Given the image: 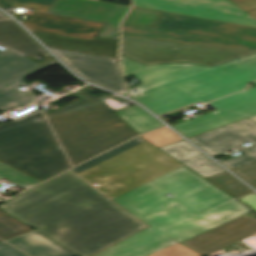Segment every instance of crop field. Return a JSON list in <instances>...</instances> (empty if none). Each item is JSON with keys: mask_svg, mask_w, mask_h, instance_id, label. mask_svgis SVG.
I'll return each mask as SVG.
<instances>
[{"mask_svg": "<svg viewBox=\"0 0 256 256\" xmlns=\"http://www.w3.org/2000/svg\"><path fill=\"white\" fill-rule=\"evenodd\" d=\"M0 256H26L8 244L0 243Z\"/></svg>", "mask_w": 256, "mask_h": 256, "instance_id": "d32e631a", "label": "crop field"}, {"mask_svg": "<svg viewBox=\"0 0 256 256\" xmlns=\"http://www.w3.org/2000/svg\"><path fill=\"white\" fill-rule=\"evenodd\" d=\"M240 151L244 152L245 154L237 158L221 161L220 163H222L226 168L231 170V169L256 161V144L249 146L247 148H244Z\"/></svg>", "mask_w": 256, "mask_h": 256, "instance_id": "ae1a2a85", "label": "crop field"}, {"mask_svg": "<svg viewBox=\"0 0 256 256\" xmlns=\"http://www.w3.org/2000/svg\"><path fill=\"white\" fill-rule=\"evenodd\" d=\"M207 180L235 197L251 192L226 172L207 178Z\"/></svg>", "mask_w": 256, "mask_h": 256, "instance_id": "92a150f3", "label": "crop field"}, {"mask_svg": "<svg viewBox=\"0 0 256 256\" xmlns=\"http://www.w3.org/2000/svg\"><path fill=\"white\" fill-rule=\"evenodd\" d=\"M223 204V203H222ZM162 215L166 216V217H169V216H173V215H176L184 220L196 215V214H191V213H188L187 212V209L178 205L170 210H167L163 213H161Z\"/></svg>", "mask_w": 256, "mask_h": 256, "instance_id": "1d83c4d3", "label": "crop field"}, {"mask_svg": "<svg viewBox=\"0 0 256 256\" xmlns=\"http://www.w3.org/2000/svg\"><path fill=\"white\" fill-rule=\"evenodd\" d=\"M39 65L8 50H0V82Z\"/></svg>", "mask_w": 256, "mask_h": 256, "instance_id": "214f88e0", "label": "crop field"}, {"mask_svg": "<svg viewBox=\"0 0 256 256\" xmlns=\"http://www.w3.org/2000/svg\"><path fill=\"white\" fill-rule=\"evenodd\" d=\"M20 6L33 8L34 11L42 12V13H46L47 9L49 8V6L47 5L35 4V3H29V2H22V1H16V0H0V7L3 9L7 7L17 8Z\"/></svg>", "mask_w": 256, "mask_h": 256, "instance_id": "bd1437ed", "label": "crop field"}, {"mask_svg": "<svg viewBox=\"0 0 256 256\" xmlns=\"http://www.w3.org/2000/svg\"><path fill=\"white\" fill-rule=\"evenodd\" d=\"M159 11L133 7L122 24L154 26Z\"/></svg>", "mask_w": 256, "mask_h": 256, "instance_id": "00972430", "label": "crop field"}, {"mask_svg": "<svg viewBox=\"0 0 256 256\" xmlns=\"http://www.w3.org/2000/svg\"><path fill=\"white\" fill-rule=\"evenodd\" d=\"M130 7L119 5L110 19L107 21L106 26L99 34L100 37L110 38L117 40L118 25L120 20L126 14Z\"/></svg>", "mask_w": 256, "mask_h": 256, "instance_id": "730fd06b", "label": "crop field"}, {"mask_svg": "<svg viewBox=\"0 0 256 256\" xmlns=\"http://www.w3.org/2000/svg\"><path fill=\"white\" fill-rule=\"evenodd\" d=\"M117 4L93 0H55L48 14L106 23Z\"/></svg>", "mask_w": 256, "mask_h": 256, "instance_id": "cbeb9de0", "label": "crop field"}, {"mask_svg": "<svg viewBox=\"0 0 256 256\" xmlns=\"http://www.w3.org/2000/svg\"><path fill=\"white\" fill-rule=\"evenodd\" d=\"M124 75L142 84L129 98L159 115L196 102H207L243 90L256 80V54L214 67L186 63L145 66L121 56Z\"/></svg>", "mask_w": 256, "mask_h": 256, "instance_id": "412701ff", "label": "crop field"}, {"mask_svg": "<svg viewBox=\"0 0 256 256\" xmlns=\"http://www.w3.org/2000/svg\"><path fill=\"white\" fill-rule=\"evenodd\" d=\"M181 166L179 163L144 142L80 174L109 198Z\"/></svg>", "mask_w": 256, "mask_h": 256, "instance_id": "d8731c3e", "label": "crop field"}, {"mask_svg": "<svg viewBox=\"0 0 256 256\" xmlns=\"http://www.w3.org/2000/svg\"><path fill=\"white\" fill-rule=\"evenodd\" d=\"M6 241L30 256H76L35 231Z\"/></svg>", "mask_w": 256, "mask_h": 256, "instance_id": "733c2abd", "label": "crop field"}, {"mask_svg": "<svg viewBox=\"0 0 256 256\" xmlns=\"http://www.w3.org/2000/svg\"><path fill=\"white\" fill-rule=\"evenodd\" d=\"M230 1L240 6L245 11L256 8V0H230ZM248 12L254 17H256V9H253Z\"/></svg>", "mask_w": 256, "mask_h": 256, "instance_id": "120bbe31", "label": "crop field"}, {"mask_svg": "<svg viewBox=\"0 0 256 256\" xmlns=\"http://www.w3.org/2000/svg\"><path fill=\"white\" fill-rule=\"evenodd\" d=\"M115 114L138 134L164 126L137 105L115 112Z\"/></svg>", "mask_w": 256, "mask_h": 256, "instance_id": "bc2a9ffb", "label": "crop field"}, {"mask_svg": "<svg viewBox=\"0 0 256 256\" xmlns=\"http://www.w3.org/2000/svg\"><path fill=\"white\" fill-rule=\"evenodd\" d=\"M0 45L23 57L48 54L11 20L0 21Z\"/></svg>", "mask_w": 256, "mask_h": 256, "instance_id": "d9b57169", "label": "crop field"}, {"mask_svg": "<svg viewBox=\"0 0 256 256\" xmlns=\"http://www.w3.org/2000/svg\"><path fill=\"white\" fill-rule=\"evenodd\" d=\"M2 18H7V17L0 13V19H2Z\"/></svg>", "mask_w": 256, "mask_h": 256, "instance_id": "e1f06a70", "label": "crop field"}, {"mask_svg": "<svg viewBox=\"0 0 256 256\" xmlns=\"http://www.w3.org/2000/svg\"><path fill=\"white\" fill-rule=\"evenodd\" d=\"M0 209L79 256H88L145 227L70 171Z\"/></svg>", "mask_w": 256, "mask_h": 256, "instance_id": "8a807250", "label": "crop field"}, {"mask_svg": "<svg viewBox=\"0 0 256 256\" xmlns=\"http://www.w3.org/2000/svg\"><path fill=\"white\" fill-rule=\"evenodd\" d=\"M144 256H203L183 245H167Z\"/></svg>", "mask_w": 256, "mask_h": 256, "instance_id": "d3111659", "label": "crop field"}, {"mask_svg": "<svg viewBox=\"0 0 256 256\" xmlns=\"http://www.w3.org/2000/svg\"><path fill=\"white\" fill-rule=\"evenodd\" d=\"M86 89L74 94L80 99L46 114L73 166L137 135Z\"/></svg>", "mask_w": 256, "mask_h": 256, "instance_id": "dd49c442", "label": "crop field"}, {"mask_svg": "<svg viewBox=\"0 0 256 256\" xmlns=\"http://www.w3.org/2000/svg\"><path fill=\"white\" fill-rule=\"evenodd\" d=\"M23 1H29V2H35V3H41V4L51 5V3H52L54 0H23Z\"/></svg>", "mask_w": 256, "mask_h": 256, "instance_id": "028f5c9d", "label": "crop field"}, {"mask_svg": "<svg viewBox=\"0 0 256 256\" xmlns=\"http://www.w3.org/2000/svg\"><path fill=\"white\" fill-rule=\"evenodd\" d=\"M167 193L173 197L164 196ZM230 199L233 198L181 166L113 200L148 226L180 243L250 210L232 200L186 221L159 213L181 204L198 214Z\"/></svg>", "mask_w": 256, "mask_h": 256, "instance_id": "34b2d1b8", "label": "crop field"}, {"mask_svg": "<svg viewBox=\"0 0 256 256\" xmlns=\"http://www.w3.org/2000/svg\"><path fill=\"white\" fill-rule=\"evenodd\" d=\"M159 149L204 178L224 172V170L184 140L159 147Z\"/></svg>", "mask_w": 256, "mask_h": 256, "instance_id": "5142ce71", "label": "crop field"}, {"mask_svg": "<svg viewBox=\"0 0 256 256\" xmlns=\"http://www.w3.org/2000/svg\"><path fill=\"white\" fill-rule=\"evenodd\" d=\"M167 244L178 243L149 227L92 256H142Z\"/></svg>", "mask_w": 256, "mask_h": 256, "instance_id": "22f410ed", "label": "crop field"}, {"mask_svg": "<svg viewBox=\"0 0 256 256\" xmlns=\"http://www.w3.org/2000/svg\"><path fill=\"white\" fill-rule=\"evenodd\" d=\"M0 160L41 181L71 167L42 112L0 126Z\"/></svg>", "mask_w": 256, "mask_h": 256, "instance_id": "e52e79f7", "label": "crop field"}, {"mask_svg": "<svg viewBox=\"0 0 256 256\" xmlns=\"http://www.w3.org/2000/svg\"><path fill=\"white\" fill-rule=\"evenodd\" d=\"M4 178L11 181L12 184L22 187L24 189L40 182L2 162H0V179ZM0 201H3L0 199Z\"/></svg>", "mask_w": 256, "mask_h": 256, "instance_id": "a9b5d70f", "label": "crop field"}, {"mask_svg": "<svg viewBox=\"0 0 256 256\" xmlns=\"http://www.w3.org/2000/svg\"><path fill=\"white\" fill-rule=\"evenodd\" d=\"M239 200L256 211V193L239 198Z\"/></svg>", "mask_w": 256, "mask_h": 256, "instance_id": "5866460e", "label": "crop field"}, {"mask_svg": "<svg viewBox=\"0 0 256 256\" xmlns=\"http://www.w3.org/2000/svg\"><path fill=\"white\" fill-rule=\"evenodd\" d=\"M142 142H144V140H142L140 137H138V138H136V139H134V140H132L128 143H125V144H123V145H121L117 148H114V149H112V150H110V151H108V152H106V153H104V154H102V155H100V156H98V157H96V158H94V159H92V160H90V161L72 169V170L75 173L78 174V173H80V172H82V171H84V170H86V169H88V168L106 160V159H109V158H111V157H113V156H115V155H117V154H119V153H121L125 150H128V149H130V148H132V147H134V146H136V145H138Z\"/></svg>", "mask_w": 256, "mask_h": 256, "instance_id": "4177f3b9", "label": "crop field"}, {"mask_svg": "<svg viewBox=\"0 0 256 256\" xmlns=\"http://www.w3.org/2000/svg\"><path fill=\"white\" fill-rule=\"evenodd\" d=\"M255 233L256 219L243 215L183 244L207 255Z\"/></svg>", "mask_w": 256, "mask_h": 256, "instance_id": "28ad6ade", "label": "crop field"}, {"mask_svg": "<svg viewBox=\"0 0 256 256\" xmlns=\"http://www.w3.org/2000/svg\"><path fill=\"white\" fill-rule=\"evenodd\" d=\"M22 24L76 74L110 91L126 94L116 62L117 41L95 37L102 24L36 13Z\"/></svg>", "mask_w": 256, "mask_h": 256, "instance_id": "f4fd0767", "label": "crop field"}, {"mask_svg": "<svg viewBox=\"0 0 256 256\" xmlns=\"http://www.w3.org/2000/svg\"><path fill=\"white\" fill-rule=\"evenodd\" d=\"M142 138L159 147L175 141L182 140L167 127L142 135Z\"/></svg>", "mask_w": 256, "mask_h": 256, "instance_id": "eef30255", "label": "crop field"}, {"mask_svg": "<svg viewBox=\"0 0 256 256\" xmlns=\"http://www.w3.org/2000/svg\"><path fill=\"white\" fill-rule=\"evenodd\" d=\"M256 52V28L161 12L155 27L121 25L120 54L146 65L216 66Z\"/></svg>", "mask_w": 256, "mask_h": 256, "instance_id": "ac0d7876", "label": "crop field"}, {"mask_svg": "<svg viewBox=\"0 0 256 256\" xmlns=\"http://www.w3.org/2000/svg\"><path fill=\"white\" fill-rule=\"evenodd\" d=\"M133 6L256 27V19L229 0H133Z\"/></svg>", "mask_w": 256, "mask_h": 256, "instance_id": "3316defc", "label": "crop field"}, {"mask_svg": "<svg viewBox=\"0 0 256 256\" xmlns=\"http://www.w3.org/2000/svg\"><path fill=\"white\" fill-rule=\"evenodd\" d=\"M210 155L234 147H244L241 144L256 143V126L245 119L216 130L189 138Z\"/></svg>", "mask_w": 256, "mask_h": 256, "instance_id": "d1516ede", "label": "crop field"}, {"mask_svg": "<svg viewBox=\"0 0 256 256\" xmlns=\"http://www.w3.org/2000/svg\"><path fill=\"white\" fill-rule=\"evenodd\" d=\"M57 64L55 60L39 65L0 83V110L4 111L17 105L31 103L32 95H22L12 88L24 83L23 78Z\"/></svg>", "mask_w": 256, "mask_h": 256, "instance_id": "4a817a6b", "label": "crop field"}, {"mask_svg": "<svg viewBox=\"0 0 256 256\" xmlns=\"http://www.w3.org/2000/svg\"><path fill=\"white\" fill-rule=\"evenodd\" d=\"M208 104L216 110L172 127L189 138L245 118L256 124V87Z\"/></svg>", "mask_w": 256, "mask_h": 256, "instance_id": "5a996713", "label": "crop field"}, {"mask_svg": "<svg viewBox=\"0 0 256 256\" xmlns=\"http://www.w3.org/2000/svg\"><path fill=\"white\" fill-rule=\"evenodd\" d=\"M30 231L33 230L0 211V238L6 240Z\"/></svg>", "mask_w": 256, "mask_h": 256, "instance_id": "dafd665d", "label": "crop field"}, {"mask_svg": "<svg viewBox=\"0 0 256 256\" xmlns=\"http://www.w3.org/2000/svg\"><path fill=\"white\" fill-rule=\"evenodd\" d=\"M231 171L256 188V162Z\"/></svg>", "mask_w": 256, "mask_h": 256, "instance_id": "750c4746", "label": "crop field"}, {"mask_svg": "<svg viewBox=\"0 0 256 256\" xmlns=\"http://www.w3.org/2000/svg\"><path fill=\"white\" fill-rule=\"evenodd\" d=\"M0 242H2V241L0 240Z\"/></svg>", "mask_w": 256, "mask_h": 256, "instance_id": "0bd39190", "label": "crop field"}]
</instances>
